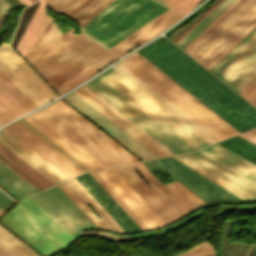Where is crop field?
<instances>
[{"label":"crop field","instance_id":"obj_1","mask_svg":"<svg viewBox=\"0 0 256 256\" xmlns=\"http://www.w3.org/2000/svg\"><path fill=\"white\" fill-rule=\"evenodd\" d=\"M137 52L240 132L256 126L254 107L164 36Z\"/></svg>","mask_w":256,"mask_h":256},{"label":"crop field","instance_id":"obj_2","mask_svg":"<svg viewBox=\"0 0 256 256\" xmlns=\"http://www.w3.org/2000/svg\"><path fill=\"white\" fill-rule=\"evenodd\" d=\"M84 85L173 154L209 145L112 68Z\"/></svg>","mask_w":256,"mask_h":256},{"label":"crop field","instance_id":"obj_3","mask_svg":"<svg viewBox=\"0 0 256 256\" xmlns=\"http://www.w3.org/2000/svg\"><path fill=\"white\" fill-rule=\"evenodd\" d=\"M256 26V0H237L183 51L208 70Z\"/></svg>","mask_w":256,"mask_h":256},{"label":"crop field","instance_id":"obj_4","mask_svg":"<svg viewBox=\"0 0 256 256\" xmlns=\"http://www.w3.org/2000/svg\"><path fill=\"white\" fill-rule=\"evenodd\" d=\"M121 63L218 140L239 133L137 52Z\"/></svg>","mask_w":256,"mask_h":256},{"label":"crop field","instance_id":"obj_5","mask_svg":"<svg viewBox=\"0 0 256 256\" xmlns=\"http://www.w3.org/2000/svg\"><path fill=\"white\" fill-rule=\"evenodd\" d=\"M244 201L256 200V165L214 144L174 155Z\"/></svg>","mask_w":256,"mask_h":256},{"label":"crop field","instance_id":"obj_6","mask_svg":"<svg viewBox=\"0 0 256 256\" xmlns=\"http://www.w3.org/2000/svg\"><path fill=\"white\" fill-rule=\"evenodd\" d=\"M168 8L156 0H114L81 31L109 49Z\"/></svg>","mask_w":256,"mask_h":256},{"label":"crop field","instance_id":"obj_7","mask_svg":"<svg viewBox=\"0 0 256 256\" xmlns=\"http://www.w3.org/2000/svg\"><path fill=\"white\" fill-rule=\"evenodd\" d=\"M0 223L43 256L57 252L74 239L30 197L21 200Z\"/></svg>","mask_w":256,"mask_h":256},{"label":"crop field","instance_id":"obj_8","mask_svg":"<svg viewBox=\"0 0 256 256\" xmlns=\"http://www.w3.org/2000/svg\"><path fill=\"white\" fill-rule=\"evenodd\" d=\"M73 33L71 28L32 64L54 88L108 52L83 34Z\"/></svg>","mask_w":256,"mask_h":256},{"label":"crop field","instance_id":"obj_9","mask_svg":"<svg viewBox=\"0 0 256 256\" xmlns=\"http://www.w3.org/2000/svg\"><path fill=\"white\" fill-rule=\"evenodd\" d=\"M210 71L239 94L246 89L256 79V29Z\"/></svg>","mask_w":256,"mask_h":256},{"label":"crop field","instance_id":"obj_10","mask_svg":"<svg viewBox=\"0 0 256 256\" xmlns=\"http://www.w3.org/2000/svg\"><path fill=\"white\" fill-rule=\"evenodd\" d=\"M0 160L39 191L54 183L0 142ZM0 161V186L18 200L38 192Z\"/></svg>","mask_w":256,"mask_h":256},{"label":"crop field","instance_id":"obj_11","mask_svg":"<svg viewBox=\"0 0 256 256\" xmlns=\"http://www.w3.org/2000/svg\"><path fill=\"white\" fill-rule=\"evenodd\" d=\"M0 70L36 107L58 97L9 45L0 47Z\"/></svg>","mask_w":256,"mask_h":256},{"label":"crop field","instance_id":"obj_12","mask_svg":"<svg viewBox=\"0 0 256 256\" xmlns=\"http://www.w3.org/2000/svg\"><path fill=\"white\" fill-rule=\"evenodd\" d=\"M31 198L74 238L81 230L97 227L57 186Z\"/></svg>","mask_w":256,"mask_h":256},{"label":"crop field","instance_id":"obj_13","mask_svg":"<svg viewBox=\"0 0 256 256\" xmlns=\"http://www.w3.org/2000/svg\"><path fill=\"white\" fill-rule=\"evenodd\" d=\"M153 162L205 202L216 200L242 201L172 156L153 160Z\"/></svg>","mask_w":256,"mask_h":256},{"label":"crop field","instance_id":"obj_14","mask_svg":"<svg viewBox=\"0 0 256 256\" xmlns=\"http://www.w3.org/2000/svg\"><path fill=\"white\" fill-rule=\"evenodd\" d=\"M69 104L113 137L142 161L158 158L74 92L65 96Z\"/></svg>","mask_w":256,"mask_h":256},{"label":"crop field","instance_id":"obj_15","mask_svg":"<svg viewBox=\"0 0 256 256\" xmlns=\"http://www.w3.org/2000/svg\"><path fill=\"white\" fill-rule=\"evenodd\" d=\"M5 128L12 132L15 136H17L20 140L26 143L29 147H31L34 151L40 154L43 158H45L48 162L54 165L69 178L83 172L18 121L13 122Z\"/></svg>","mask_w":256,"mask_h":256},{"label":"crop field","instance_id":"obj_16","mask_svg":"<svg viewBox=\"0 0 256 256\" xmlns=\"http://www.w3.org/2000/svg\"><path fill=\"white\" fill-rule=\"evenodd\" d=\"M98 227L124 232L119 225L106 213V211L94 200V198L75 179H71L57 185ZM88 203L100 216L99 219L90 207L79 199L78 195ZM125 233V232H124Z\"/></svg>","mask_w":256,"mask_h":256},{"label":"crop field","instance_id":"obj_17","mask_svg":"<svg viewBox=\"0 0 256 256\" xmlns=\"http://www.w3.org/2000/svg\"><path fill=\"white\" fill-rule=\"evenodd\" d=\"M24 119L30 122L91 171L106 168L36 112L24 117Z\"/></svg>","mask_w":256,"mask_h":256},{"label":"crop field","instance_id":"obj_18","mask_svg":"<svg viewBox=\"0 0 256 256\" xmlns=\"http://www.w3.org/2000/svg\"><path fill=\"white\" fill-rule=\"evenodd\" d=\"M181 17L183 15L170 8L109 50L121 57L129 50L155 37Z\"/></svg>","mask_w":256,"mask_h":256},{"label":"crop field","instance_id":"obj_19","mask_svg":"<svg viewBox=\"0 0 256 256\" xmlns=\"http://www.w3.org/2000/svg\"><path fill=\"white\" fill-rule=\"evenodd\" d=\"M76 179L126 233L141 231L135 222L122 210V208L108 195V193L95 181V179L89 173L82 174L76 177Z\"/></svg>","mask_w":256,"mask_h":256},{"label":"crop field","instance_id":"obj_20","mask_svg":"<svg viewBox=\"0 0 256 256\" xmlns=\"http://www.w3.org/2000/svg\"><path fill=\"white\" fill-rule=\"evenodd\" d=\"M0 141L55 184L68 179V177L62 174L5 128L0 130Z\"/></svg>","mask_w":256,"mask_h":256},{"label":"crop field","instance_id":"obj_21","mask_svg":"<svg viewBox=\"0 0 256 256\" xmlns=\"http://www.w3.org/2000/svg\"><path fill=\"white\" fill-rule=\"evenodd\" d=\"M37 113L48 120L107 168L120 165L47 107L37 111Z\"/></svg>","mask_w":256,"mask_h":256},{"label":"crop field","instance_id":"obj_22","mask_svg":"<svg viewBox=\"0 0 256 256\" xmlns=\"http://www.w3.org/2000/svg\"><path fill=\"white\" fill-rule=\"evenodd\" d=\"M112 68L115 69L117 72H119L126 79H128L135 86H137L144 93H146L153 100H155L158 104H160L162 107H164L167 111H169L171 114H173L176 118H178L180 121H182L185 125H187L189 128H191L194 132H196L198 135H200L207 142L212 144V143L218 141L213 136H211L209 133H207L204 129H202L199 125H197L195 122H193L190 118H188L185 114H183L181 111H179L176 107H174L172 104H170L167 100H165L163 97H161L158 93H156L154 90H152L144 82H142L140 79H138L135 75H133L131 72H129L122 65H120L118 63Z\"/></svg>","mask_w":256,"mask_h":256},{"label":"crop field","instance_id":"obj_23","mask_svg":"<svg viewBox=\"0 0 256 256\" xmlns=\"http://www.w3.org/2000/svg\"><path fill=\"white\" fill-rule=\"evenodd\" d=\"M79 96H81L84 100L90 103L93 107L99 110L102 114L108 117L111 121L121 127L124 131L130 134L133 138L139 141L142 145L148 148L151 152H153L158 157L167 156L164 151H162L159 147H157L154 143L148 140L145 136H143L140 132L134 129L131 125L125 122L122 118H120L117 114L111 111L108 107H106L103 103L97 100L94 96H92L89 92H87L82 87L76 89L74 91Z\"/></svg>","mask_w":256,"mask_h":256},{"label":"crop field","instance_id":"obj_24","mask_svg":"<svg viewBox=\"0 0 256 256\" xmlns=\"http://www.w3.org/2000/svg\"><path fill=\"white\" fill-rule=\"evenodd\" d=\"M114 169L140 196V198L150 207V209L161 219V221L165 225L176 221L126 166L116 167Z\"/></svg>","mask_w":256,"mask_h":256},{"label":"crop field","instance_id":"obj_25","mask_svg":"<svg viewBox=\"0 0 256 256\" xmlns=\"http://www.w3.org/2000/svg\"><path fill=\"white\" fill-rule=\"evenodd\" d=\"M144 170L156 181V183L168 194V196L180 207L186 214L195 209L199 205L205 203L195 194L189 191L186 187L178 181L162 186L157 179L146 169V167L139 163Z\"/></svg>","mask_w":256,"mask_h":256},{"label":"crop field","instance_id":"obj_26","mask_svg":"<svg viewBox=\"0 0 256 256\" xmlns=\"http://www.w3.org/2000/svg\"><path fill=\"white\" fill-rule=\"evenodd\" d=\"M103 172L112 180V182L125 194V196L138 208V210L155 227L164 226L160 219L149 209V207L138 197V195L128 186V184L111 168Z\"/></svg>","mask_w":256,"mask_h":256},{"label":"crop field","instance_id":"obj_27","mask_svg":"<svg viewBox=\"0 0 256 256\" xmlns=\"http://www.w3.org/2000/svg\"><path fill=\"white\" fill-rule=\"evenodd\" d=\"M127 167L132 171V173L145 185V187L158 199V201L171 213V215L178 220L183 215H185L178 206L165 194V192L153 181V179L142 169L138 164L127 165ZM135 169L140 173V175L147 181V183L154 189L152 190L148 187L143 180L136 173Z\"/></svg>","mask_w":256,"mask_h":256},{"label":"crop field","instance_id":"obj_28","mask_svg":"<svg viewBox=\"0 0 256 256\" xmlns=\"http://www.w3.org/2000/svg\"><path fill=\"white\" fill-rule=\"evenodd\" d=\"M54 103L57 104L59 107H61L64 111H66L69 115H71L73 118H75L82 125H84L91 132H93L96 136H98L101 140H103L105 143H107L110 147H112L114 150H116L119 154H121L128 161H130L131 163L139 161L134 156H132L130 153H128L125 149H123L120 145H118L116 142H114L111 138H109L106 134H104L102 131H100L97 127H95L92 123H90L87 119H85L78 112H76L73 108H71L69 105H67L64 101H62L60 99Z\"/></svg>","mask_w":256,"mask_h":256},{"label":"crop field","instance_id":"obj_29","mask_svg":"<svg viewBox=\"0 0 256 256\" xmlns=\"http://www.w3.org/2000/svg\"><path fill=\"white\" fill-rule=\"evenodd\" d=\"M236 0H223L201 22H199L185 37L176 45L182 50L191 43L203 30H205L217 17H219Z\"/></svg>","mask_w":256,"mask_h":256},{"label":"crop field","instance_id":"obj_30","mask_svg":"<svg viewBox=\"0 0 256 256\" xmlns=\"http://www.w3.org/2000/svg\"><path fill=\"white\" fill-rule=\"evenodd\" d=\"M28 112L0 83V119L6 123Z\"/></svg>","mask_w":256,"mask_h":256},{"label":"crop field","instance_id":"obj_31","mask_svg":"<svg viewBox=\"0 0 256 256\" xmlns=\"http://www.w3.org/2000/svg\"><path fill=\"white\" fill-rule=\"evenodd\" d=\"M62 35L63 34L60 32V30L51 22L25 57L32 64Z\"/></svg>","mask_w":256,"mask_h":256},{"label":"crop field","instance_id":"obj_32","mask_svg":"<svg viewBox=\"0 0 256 256\" xmlns=\"http://www.w3.org/2000/svg\"><path fill=\"white\" fill-rule=\"evenodd\" d=\"M217 144L256 164V145L248 140L236 135Z\"/></svg>","mask_w":256,"mask_h":256},{"label":"crop field","instance_id":"obj_33","mask_svg":"<svg viewBox=\"0 0 256 256\" xmlns=\"http://www.w3.org/2000/svg\"><path fill=\"white\" fill-rule=\"evenodd\" d=\"M111 1L113 0H86L68 16L78 22L80 27H82Z\"/></svg>","mask_w":256,"mask_h":256},{"label":"crop field","instance_id":"obj_34","mask_svg":"<svg viewBox=\"0 0 256 256\" xmlns=\"http://www.w3.org/2000/svg\"><path fill=\"white\" fill-rule=\"evenodd\" d=\"M0 251L6 256H37L1 227Z\"/></svg>","mask_w":256,"mask_h":256},{"label":"crop field","instance_id":"obj_35","mask_svg":"<svg viewBox=\"0 0 256 256\" xmlns=\"http://www.w3.org/2000/svg\"><path fill=\"white\" fill-rule=\"evenodd\" d=\"M46 7H48L46 4H44L42 1H40L34 15L32 16L25 32L23 33L18 45H17V50L22 53L24 50L25 46L29 42L30 38L34 34L35 30L39 26L40 22L46 15Z\"/></svg>","mask_w":256,"mask_h":256},{"label":"crop field","instance_id":"obj_36","mask_svg":"<svg viewBox=\"0 0 256 256\" xmlns=\"http://www.w3.org/2000/svg\"><path fill=\"white\" fill-rule=\"evenodd\" d=\"M101 178L102 180L115 192V194L129 207V209L142 221V223L148 228H154L149 222L148 220L135 208V206L121 193V191L108 179V177L102 172V171H98L96 172Z\"/></svg>","mask_w":256,"mask_h":256},{"label":"crop field","instance_id":"obj_37","mask_svg":"<svg viewBox=\"0 0 256 256\" xmlns=\"http://www.w3.org/2000/svg\"><path fill=\"white\" fill-rule=\"evenodd\" d=\"M97 182L110 194V196L123 208V210L136 222V224L142 229L147 228L141 223V221L128 209V207L114 194V192L101 180V178L95 173H90Z\"/></svg>","mask_w":256,"mask_h":256},{"label":"crop field","instance_id":"obj_38","mask_svg":"<svg viewBox=\"0 0 256 256\" xmlns=\"http://www.w3.org/2000/svg\"><path fill=\"white\" fill-rule=\"evenodd\" d=\"M50 105L53 106L56 110H58L60 113H62L65 117H67L70 121H72L79 128H81L84 132H86L94 140H96L98 143H100L103 147H105L113 155H115L117 158H119L122 162H124L125 164H129L130 163L126 159H124L121 155H119L116 151H114L112 148H110L107 144H105L103 141H101L98 137H96L94 134H92L89 130H87L84 126H82L80 123H78L75 119H73L71 116H69L66 112H64L57 105H55L54 103H52Z\"/></svg>","mask_w":256,"mask_h":256},{"label":"crop field","instance_id":"obj_39","mask_svg":"<svg viewBox=\"0 0 256 256\" xmlns=\"http://www.w3.org/2000/svg\"><path fill=\"white\" fill-rule=\"evenodd\" d=\"M22 123H24L27 127H29L31 130H33L36 134H38L41 138H43L46 142H48L51 146H53L55 149H57L60 153H62L65 157H67L70 161H72L74 164H76L79 168H81L84 172H88L86 167H84L81 163H79L76 159H74L72 156H70L67 152H65L63 149H61L58 145H56L53 141H51L49 138H47L44 134H42L40 131H38L35 127H33L30 123H28L23 118L20 119ZM23 124V125H24ZM28 128V129H29ZM32 131V132H33Z\"/></svg>","mask_w":256,"mask_h":256},{"label":"crop field","instance_id":"obj_40","mask_svg":"<svg viewBox=\"0 0 256 256\" xmlns=\"http://www.w3.org/2000/svg\"><path fill=\"white\" fill-rule=\"evenodd\" d=\"M113 54L111 53H106L105 55H103L102 57H100L98 60H96L95 62H93L92 64H90L89 66H87L86 68H84L82 71H80L79 73H77L76 75H74L73 77H71L70 79H68L67 81H65L63 84H61L60 86H58L57 88H55L58 92L61 91L62 89H64L65 87H67L68 85H70L71 83H73L75 80H77L78 78H80L81 76H83L84 74H86L87 72H89L90 70H92L93 68H95L96 66H98L99 64H101L103 61H105L106 59H108L109 57H111Z\"/></svg>","mask_w":256,"mask_h":256},{"label":"crop field","instance_id":"obj_41","mask_svg":"<svg viewBox=\"0 0 256 256\" xmlns=\"http://www.w3.org/2000/svg\"><path fill=\"white\" fill-rule=\"evenodd\" d=\"M180 256H214V252L212 245L204 241L185 251Z\"/></svg>","mask_w":256,"mask_h":256},{"label":"crop field","instance_id":"obj_42","mask_svg":"<svg viewBox=\"0 0 256 256\" xmlns=\"http://www.w3.org/2000/svg\"><path fill=\"white\" fill-rule=\"evenodd\" d=\"M84 0H62L52 9L61 14H69L77 6H79Z\"/></svg>","mask_w":256,"mask_h":256},{"label":"crop field","instance_id":"obj_43","mask_svg":"<svg viewBox=\"0 0 256 256\" xmlns=\"http://www.w3.org/2000/svg\"><path fill=\"white\" fill-rule=\"evenodd\" d=\"M201 0H172L167 5L186 14Z\"/></svg>","mask_w":256,"mask_h":256},{"label":"crop field","instance_id":"obj_44","mask_svg":"<svg viewBox=\"0 0 256 256\" xmlns=\"http://www.w3.org/2000/svg\"><path fill=\"white\" fill-rule=\"evenodd\" d=\"M50 108L53 112H55L57 115H59L62 119H64L67 123H69L71 126H73L76 130H78L81 134H83L85 137H87L90 141H92L95 145H97L99 148H101L104 152H106L109 156H111L113 159H115L118 163L121 165H124L119 159H117L115 156H113L110 152H108L105 148H103L100 144H98L96 141H94L91 137H89L86 133H84L81 129H79L77 126H75L72 122H70L67 118H65L62 114H60L58 111H56L53 107L50 105L47 106Z\"/></svg>","mask_w":256,"mask_h":256},{"label":"crop field","instance_id":"obj_45","mask_svg":"<svg viewBox=\"0 0 256 256\" xmlns=\"http://www.w3.org/2000/svg\"><path fill=\"white\" fill-rule=\"evenodd\" d=\"M222 0H217L213 3L202 15H200L190 26H188L178 37H176L172 42L175 44L188 33L199 21H201L215 6H217Z\"/></svg>","mask_w":256,"mask_h":256},{"label":"crop field","instance_id":"obj_46","mask_svg":"<svg viewBox=\"0 0 256 256\" xmlns=\"http://www.w3.org/2000/svg\"><path fill=\"white\" fill-rule=\"evenodd\" d=\"M87 91H89L92 95H94L97 99H99L101 102H103L106 106H108L111 110H113L115 113H117L120 117H122L124 120H126L129 124H131L134 128H136L138 131H140L143 135H145L148 139H150L152 142H154L157 146H159L162 150H164L169 155H172L168 150H166L164 147H162L159 143H157L155 140H153L151 137H149L146 133H144L142 130H140L138 127H136L134 124H132L129 120H127L125 117H123L121 114H119L116 110H114L111 106H109L106 102H104L101 98H99L97 95H95L92 91H90L87 87L84 85L82 86Z\"/></svg>","mask_w":256,"mask_h":256},{"label":"crop field","instance_id":"obj_47","mask_svg":"<svg viewBox=\"0 0 256 256\" xmlns=\"http://www.w3.org/2000/svg\"><path fill=\"white\" fill-rule=\"evenodd\" d=\"M52 18H50L49 16L46 15L45 19L43 20V22L41 23L40 27L38 28V30L36 31V33L34 34V36L32 37V39L30 40V42L28 43L27 47L25 48V50L23 51V55L25 56V54L28 52V50L31 48V46L34 44V42L37 40V38L39 37V35L42 33V31L45 29V27L48 25V23L51 21ZM53 20V19H52Z\"/></svg>","mask_w":256,"mask_h":256},{"label":"crop field","instance_id":"obj_48","mask_svg":"<svg viewBox=\"0 0 256 256\" xmlns=\"http://www.w3.org/2000/svg\"><path fill=\"white\" fill-rule=\"evenodd\" d=\"M240 95L256 106V80Z\"/></svg>","mask_w":256,"mask_h":256},{"label":"crop field","instance_id":"obj_49","mask_svg":"<svg viewBox=\"0 0 256 256\" xmlns=\"http://www.w3.org/2000/svg\"><path fill=\"white\" fill-rule=\"evenodd\" d=\"M82 234H90V235H99V236H103L106 237L108 239H111L113 241H132L130 237H124V236H117V235H113V234H109L106 232H100V233H82ZM81 234V235H82Z\"/></svg>","mask_w":256,"mask_h":256},{"label":"crop field","instance_id":"obj_50","mask_svg":"<svg viewBox=\"0 0 256 256\" xmlns=\"http://www.w3.org/2000/svg\"><path fill=\"white\" fill-rule=\"evenodd\" d=\"M12 9L13 8L5 0H0V27L4 22V15Z\"/></svg>","mask_w":256,"mask_h":256},{"label":"crop field","instance_id":"obj_51","mask_svg":"<svg viewBox=\"0 0 256 256\" xmlns=\"http://www.w3.org/2000/svg\"><path fill=\"white\" fill-rule=\"evenodd\" d=\"M14 203L9 197L0 191V208L4 211Z\"/></svg>","mask_w":256,"mask_h":256},{"label":"crop field","instance_id":"obj_52","mask_svg":"<svg viewBox=\"0 0 256 256\" xmlns=\"http://www.w3.org/2000/svg\"><path fill=\"white\" fill-rule=\"evenodd\" d=\"M239 135L242 136V137H244V138H246V139H248V140H250V141H252L253 143L256 144V133H255V132L249 130V131L244 132V133H241V134H239ZM250 141H249V142H250ZM252 142H251V143H252Z\"/></svg>","mask_w":256,"mask_h":256},{"label":"crop field","instance_id":"obj_53","mask_svg":"<svg viewBox=\"0 0 256 256\" xmlns=\"http://www.w3.org/2000/svg\"><path fill=\"white\" fill-rule=\"evenodd\" d=\"M60 0H47L45 3L48 4L49 7H53L54 5H56Z\"/></svg>","mask_w":256,"mask_h":256},{"label":"crop field","instance_id":"obj_54","mask_svg":"<svg viewBox=\"0 0 256 256\" xmlns=\"http://www.w3.org/2000/svg\"><path fill=\"white\" fill-rule=\"evenodd\" d=\"M23 5L32 3L30 0H19Z\"/></svg>","mask_w":256,"mask_h":256},{"label":"crop field","instance_id":"obj_55","mask_svg":"<svg viewBox=\"0 0 256 256\" xmlns=\"http://www.w3.org/2000/svg\"><path fill=\"white\" fill-rule=\"evenodd\" d=\"M169 1H171V0H162V2H164V3H168Z\"/></svg>","mask_w":256,"mask_h":256},{"label":"crop field","instance_id":"obj_56","mask_svg":"<svg viewBox=\"0 0 256 256\" xmlns=\"http://www.w3.org/2000/svg\"><path fill=\"white\" fill-rule=\"evenodd\" d=\"M4 211L0 209V215L3 213Z\"/></svg>","mask_w":256,"mask_h":256},{"label":"crop field","instance_id":"obj_57","mask_svg":"<svg viewBox=\"0 0 256 256\" xmlns=\"http://www.w3.org/2000/svg\"><path fill=\"white\" fill-rule=\"evenodd\" d=\"M4 124L1 120H0V125Z\"/></svg>","mask_w":256,"mask_h":256},{"label":"crop field","instance_id":"obj_58","mask_svg":"<svg viewBox=\"0 0 256 256\" xmlns=\"http://www.w3.org/2000/svg\"><path fill=\"white\" fill-rule=\"evenodd\" d=\"M0 256H4V255L0 252Z\"/></svg>","mask_w":256,"mask_h":256},{"label":"crop field","instance_id":"obj_59","mask_svg":"<svg viewBox=\"0 0 256 256\" xmlns=\"http://www.w3.org/2000/svg\"><path fill=\"white\" fill-rule=\"evenodd\" d=\"M252 130L256 132V128H255V129H252Z\"/></svg>","mask_w":256,"mask_h":256},{"label":"crop field","instance_id":"obj_60","mask_svg":"<svg viewBox=\"0 0 256 256\" xmlns=\"http://www.w3.org/2000/svg\"><path fill=\"white\" fill-rule=\"evenodd\" d=\"M33 2L37 1V0H32Z\"/></svg>","mask_w":256,"mask_h":256},{"label":"crop field","instance_id":"obj_61","mask_svg":"<svg viewBox=\"0 0 256 256\" xmlns=\"http://www.w3.org/2000/svg\"><path fill=\"white\" fill-rule=\"evenodd\" d=\"M44 2L46 1V0H43Z\"/></svg>","mask_w":256,"mask_h":256},{"label":"crop field","instance_id":"obj_62","mask_svg":"<svg viewBox=\"0 0 256 256\" xmlns=\"http://www.w3.org/2000/svg\"><path fill=\"white\" fill-rule=\"evenodd\" d=\"M161 1V0H160Z\"/></svg>","mask_w":256,"mask_h":256}]
</instances>
